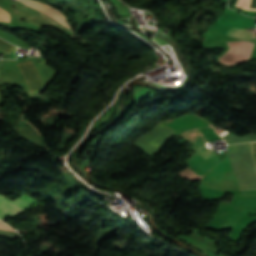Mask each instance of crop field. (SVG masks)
<instances>
[{
    "label": "crop field",
    "mask_w": 256,
    "mask_h": 256,
    "mask_svg": "<svg viewBox=\"0 0 256 256\" xmlns=\"http://www.w3.org/2000/svg\"><path fill=\"white\" fill-rule=\"evenodd\" d=\"M244 145L256 180V143H251L255 165L250 143H246ZM244 145L241 144L230 146V153L228 155L229 161L231 164L232 171L237 179L239 190L256 189V183L247 159Z\"/></svg>",
    "instance_id": "8a807250"
},
{
    "label": "crop field",
    "mask_w": 256,
    "mask_h": 256,
    "mask_svg": "<svg viewBox=\"0 0 256 256\" xmlns=\"http://www.w3.org/2000/svg\"><path fill=\"white\" fill-rule=\"evenodd\" d=\"M168 128L158 123L150 132L141 136L134 145L145 153L153 155L160 145L175 131Z\"/></svg>",
    "instance_id": "ac0d7876"
},
{
    "label": "crop field",
    "mask_w": 256,
    "mask_h": 256,
    "mask_svg": "<svg viewBox=\"0 0 256 256\" xmlns=\"http://www.w3.org/2000/svg\"><path fill=\"white\" fill-rule=\"evenodd\" d=\"M230 50L219 58L223 64L230 65L237 62L247 61L255 43L227 42ZM251 44L253 46H251Z\"/></svg>",
    "instance_id": "34b2d1b8"
},
{
    "label": "crop field",
    "mask_w": 256,
    "mask_h": 256,
    "mask_svg": "<svg viewBox=\"0 0 256 256\" xmlns=\"http://www.w3.org/2000/svg\"><path fill=\"white\" fill-rule=\"evenodd\" d=\"M11 203L17 205L18 207H20L24 210L31 206L39 204L33 198L27 197L25 195H22L21 197L13 200ZM11 203L0 198V219L14 216V215L24 211Z\"/></svg>",
    "instance_id": "412701ff"
},
{
    "label": "crop field",
    "mask_w": 256,
    "mask_h": 256,
    "mask_svg": "<svg viewBox=\"0 0 256 256\" xmlns=\"http://www.w3.org/2000/svg\"><path fill=\"white\" fill-rule=\"evenodd\" d=\"M17 65L23 72L31 93L43 87V82L41 81L38 71L31 60L17 63Z\"/></svg>",
    "instance_id": "f4fd0767"
},
{
    "label": "crop field",
    "mask_w": 256,
    "mask_h": 256,
    "mask_svg": "<svg viewBox=\"0 0 256 256\" xmlns=\"http://www.w3.org/2000/svg\"><path fill=\"white\" fill-rule=\"evenodd\" d=\"M19 1L40 10L41 12L49 15L50 17H52L59 23L63 24L67 28H70V25L68 24V22L65 21L64 16L62 15V13L59 10H57L47 4L39 3V2H36L33 0H19Z\"/></svg>",
    "instance_id": "dd49c442"
},
{
    "label": "crop field",
    "mask_w": 256,
    "mask_h": 256,
    "mask_svg": "<svg viewBox=\"0 0 256 256\" xmlns=\"http://www.w3.org/2000/svg\"><path fill=\"white\" fill-rule=\"evenodd\" d=\"M224 138L228 139L231 143L256 141V134L246 135L242 137H237L232 134H228L224 136Z\"/></svg>",
    "instance_id": "e52e79f7"
},
{
    "label": "crop field",
    "mask_w": 256,
    "mask_h": 256,
    "mask_svg": "<svg viewBox=\"0 0 256 256\" xmlns=\"http://www.w3.org/2000/svg\"><path fill=\"white\" fill-rule=\"evenodd\" d=\"M0 229L2 230H11L15 231L13 228L4 225L3 223L0 222ZM0 230V235L1 236H8V237H14V238H21L20 235L17 232H11V231H2Z\"/></svg>",
    "instance_id": "d8731c3e"
},
{
    "label": "crop field",
    "mask_w": 256,
    "mask_h": 256,
    "mask_svg": "<svg viewBox=\"0 0 256 256\" xmlns=\"http://www.w3.org/2000/svg\"><path fill=\"white\" fill-rule=\"evenodd\" d=\"M0 49L9 54L11 51L15 49V47L0 40Z\"/></svg>",
    "instance_id": "5a996713"
},
{
    "label": "crop field",
    "mask_w": 256,
    "mask_h": 256,
    "mask_svg": "<svg viewBox=\"0 0 256 256\" xmlns=\"http://www.w3.org/2000/svg\"><path fill=\"white\" fill-rule=\"evenodd\" d=\"M5 10V9H4ZM0 8V21H10V14Z\"/></svg>",
    "instance_id": "3316defc"
}]
</instances>
